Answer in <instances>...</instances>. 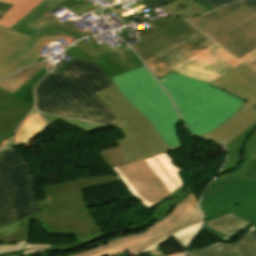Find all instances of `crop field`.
<instances>
[{
  "instance_id": "8a807250",
  "label": "crop field",
  "mask_w": 256,
  "mask_h": 256,
  "mask_svg": "<svg viewBox=\"0 0 256 256\" xmlns=\"http://www.w3.org/2000/svg\"><path fill=\"white\" fill-rule=\"evenodd\" d=\"M111 85L97 64L70 58L60 72L53 70L35 87L36 108L62 117L120 124L94 93Z\"/></svg>"
},
{
  "instance_id": "ac0d7876",
  "label": "crop field",
  "mask_w": 256,
  "mask_h": 256,
  "mask_svg": "<svg viewBox=\"0 0 256 256\" xmlns=\"http://www.w3.org/2000/svg\"><path fill=\"white\" fill-rule=\"evenodd\" d=\"M159 81L172 95L191 133L198 136L225 123L245 103L218 87L177 73Z\"/></svg>"
},
{
  "instance_id": "34b2d1b8",
  "label": "crop field",
  "mask_w": 256,
  "mask_h": 256,
  "mask_svg": "<svg viewBox=\"0 0 256 256\" xmlns=\"http://www.w3.org/2000/svg\"><path fill=\"white\" fill-rule=\"evenodd\" d=\"M140 32L132 45L156 78H161L191 56L215 44L184 18H164Z\"/></svg>"
},
{
  "instance_id": "412701ff",
  "label": "crop field",
  "mask_w": 256,
  "mask_h": 256,
  "mask_svg": "<svg viewBox=\"0 0 256 256\" xmlns=\"http://www.w3.org/2000/svg\"><path fill=\"white\" fill-rule=\"evenodd\" d=\"M168 153L112 168L124 181L134 197L147 207H152L165 198L178 196L157 206L152 219L162 220L188 194L190 188L179 178L180 170Z\"/></svg>"
},
{
  "instance_id": "f4fd0767",
  "label": "crop field",
  "mask_w": 256,
  "mask_h": 256,
  "mask_svg": "<svg viewBox=\"0 0 256 256\" xmlns=\"http://www.w3.org/2000/svg\"><path fill=\"white\" fill-rule=\"evenodd\" d=\"M96 94L120 120L122 124L115 127L121 129L125 137L117 141L119 147L99 152L107 165L113 167L171 151L148 119L124 98L115 84Z\"/></svg>"
},
{
  "instance_id": "dd49c442",
  "label": "crop field",
  "mask_w": 256,
  "mask_h": 256,
  "mask_svg": "<svg viewBox=\"0 0 256 256\" xmlns=\"http://www.w3.org/2000/svg\"><path fill=\"white\" fill-rule=\"evenodd\" d=\"M112 79L126 99L149 119L172 151L183 148L176 130L177 123L182 120L169 97L144 66Z\"/></svg>"
},
{
  "instance_id": "e52e79f7",
  "label": "crop field",
  "mask_w": 256,
  "mask_h": 256,
  "mask_svg": "<svg viewBox=\"0 0 256 256\" xmlns=\"http://www.w3.org/2000/svg\"><path fill=\"white\" fill-rule=\"evenodd\" d=\"M37 205L39 213L0 227V243L28 241L31 219L41 222L47 233L60 236L74 235L98 225L87 208L81 190L42 200Z\"/></svg>"
},
{
  "instance_id": "d8731c3e",
  "label": "crop field",
  "mask_w": 256,
  "mask_h": 256,
  "mask_svg": "<svg viewBox=\"0 0 256 256\" xmlns=\"http://www.w3.org/2000/svg\"><path fill=\"white\" fill-rule=\"evenodd\" d=\"M186 19L238 59L256 48V12L241 1Z\"/></svg>"
},
{
  "instance_id": "5a996713",
  "label": "crop field",
  "mask_w": 256,
  "mask_h": 256,
  "mask_svg": "<svg viewBox=\"0 0 256 256\" xmlns=\"http://www.w3.org/2000/svg\"><path fill=\"white\" fill-rule=\"evenodd\" d=\"M28 162L14 149L0 152V226L38 212Z\"/></svg>"
},
{
  "instance_id": "3316defc",
  "label": "crop field",
  "mask_w": 256,
  "mask_h": 256,
  "mask_svg": "<svg viewBox=\"0 0 256 256\" xmlns=\"http://www.w3.org/2000/svg\"><path fill=\"white\" fill-rule=\"evenodd\" d=\"M200 207L205 220L229 211L256 224V179H216Z\"/></svg>"
},
{
  "instance_id": "28ad6ade",
  "label": "crop field",
  "mask_w": 256,
  "mask_h": 256,
  "mask_svg": "<svg viewBox=\"0 0 256 256\" xmlns=\"http://www.w3.org/2000/svg\"><path fill=\"white\" fill-rule=\"evenodd\" d=\"M61 7L54 0H44L11 28L0 27V64L48 23L77 39L91 35L89 29L81 31L67 20H57L51 12ZM43 21L46 24L34 27L33 24Z\"/></svg>"
},
{
  "instance_id": "d1516ede",
  "label": "crop field",
  "mask_w": 256,
  "mask_h": 256,
  "mask_svg": "<svg viewBox=\"0 0 256 256\" xmlns=\"http://www.w3.org/2000/svg\"><path fill=\"white\" fill-rule=\"evenodd\" d=\"M48 61L13 94L0 88V141L11 138L18 124L34 105L33 88L52 69Z\"/></svg>"
},
{
  "instance_id": "22f410ed",
  "label": "crop field",
  "mask_w": 256,
  "mask_h": 256,
  "mask_svg": "<svg viewBox=\"0 0 256 256\" xmlns=\"http://www.w3.org/2000/svg\"><path fill=\"white\" fill-rule=\"evenodd\" d=\"M240 64L242 63L215 44L191 57L173 72L211 84Z\"/></svg>"
},
{
  "instance_id": "cbeb9de0",
  "label": "crop field",
  "mask_w": 256,
  "mask_h": 256,
  "mask_svg": "<svg viewBox=\"0 0 256 256\" xmlns=\"http://www.w3.org/2000/svg\"><path fill=\"white\" fill-rule=\"evenodd\" d=\"M60 38L71 43L77 40L48 24L0 65V79L20 68L39 62L42 56L38 52L45 45L53 41L57 42Z\"/></svg>"
},
{
  "instance_id": "5142ce71",
  "label": "crop field",
  "mask_w": 256,
  "mask_h": 256,
  "mask_svg": "<svg viewBox=\"0 0 256 256\" xmlns=\"http://www.w3.org/2000/svg\"><path fill=\"white\" fill-rule=\"evenodd\" d=\"M171 234L173 232L157 220L145 232L140 231V233L135 235H125L124 238L111 241L105 245L74 256H112L126 250L136 254Z\"/></svg>"
},
{
  "instance_id": "d9b57169",
  "label": "crop field",
  "mask_w": 256,
  "mask_h": 256,
  "mask_svg": "<svg viewBox=\"0 0 256 256\" xmlns=\"http://www.w3.org/2000/svg\"><path fill=\"white\" fill-rule=\"evenodd\" d=\"M72 46L63 53H65L69 57L96 62L112 84H114V82L110 77L143 66L142 62L131 51L130 48L119 53L113 50L114 48L118 51L123 50L118 45L111 49L109 47L110 45L104 43L98 47L105 53L93 59L81 50H79L77 47Z\"/></svg>"
},
{
  "instance_id": "733c2abd",
  "label": "crop field",
  "mask_w": 256,
  "mask_h": 256,
  "mask_svg": "<svg viewBox=\"0 0 256 256\" xmlns=\"http://www.w3.org/2000/svg\"><path fill=\"white\" fill-rule=\"evenodd\" d=\"M256 109V105L253 106ZM228 161L218 177L235 178L250 163L256 150V123L225 146Z\"/></svg>"
},
{
  "instance_id": "4a817a6b",
  "label": "crop field",
  "mask_w": 256,
  "mask_h": 256,
  "mask_svg": "<svg viewBox=\"0 0 256 256\" xmlns=\"http://www.w3.org/2000/svg\"><path fill=\"white\" fill-rule=\"evenodd\" d=\"M212 85L244 99L251 106L256 104V73L243 64Z\"/></svg>"
},
{
  "instance_id": "bc2a9ffb",
  "label": "crop field",
  "mask_w": 256,
  "mask_h": 256,
  "mask_svg": "<svg viewBox=\"0 0 256 256\" xmlns=\"http://www.w3.org/2000/svg\"><path fill=\"white\" fill-rule=\"evenodd\" d=\"M252 108L245 103L242 109L225 124L202 137L216 140L225 146L256 122V110Z\"/></svg>"
},
{
  "instance_id": "214f88e0",
  "label": "crop field",
  "mask_w": 256,
  "mask_h": 256,
  "mask_svg": "<svg viewBox=\"0 0 256 256\" xmlns=\"http://www.w3.org/2000/svg\"><path fill=\"white\" fill-rule=\"evenodd\" d=\"M185 256H256V242L245 233L232 244L214 243L204 249L188 251Z\"/></svg>"
},
{
  "instance_id": "92a150f3",
  "label": "crop field",
  "mask_w": 256,
  "mask_h": 256,
  "mask_svg": "<svg viewBox=\"0 0 256 256\" xmlns=\"http://www.w3.org/2000/svg\"><path fill=\"white\" fill-rule=\"evenodd\" d=\"M201 220L202 216L200 211L197 209L196 201L192 192L161 222L174 232Z\"/></svg>"
},
{
  "instance_id": "dafd665d",
  "label": "crop field",
  "mask_w": 256,
  "mask_h": 256,
  "mask_svg": "<svg viewBox=\"0 0 256 256\" xmlns=\"http://www.w3.org/2000/svg\"><path fill=\"white\" fill-rule=\"evenodd\" d=\"M249 224L250 223L227 212L206 220L204 222L203 230L215 235L223 241H226L236 236Z\"/></svg>"
},
{
  "instance_id": "00972430",
  "label": "crop field",
  "mask_w": 256,
  "mask_h": 256,
  "mask_svg": "<svg viewBox=\"0 0 256 256\" xmlns=\"http://www.w3.org/2000/svg\"><path fill=\"white\" fill-rule=\"evenodd\" d=\"M117 179L115 176H102V177H93V178H85V179H77L71 182L59 183V184H51L47 186H43L46 197H53L56 195H60L63 193L71 192L78 189H85L100 185H105L109 183L116 182Z\"/></svg>"
},
{
  "instance_id": "a9b5d70f",
  "label": "crop field",
  "mask_w": 256,
  "mask_h": 256,
  "mask_svg": "<svg viewBox=\"0 0 256 256\" xmlns=\"http://www.w3.org/2000/svg\"><path fill=\"white\" fill-rule=\"evenodd\" d=\"M48 125L34 109L19 127L15 135V146L25 144Z\"/></svg>"
},
{
  "instance_id": "4177f3b9",
  "label": "crop field",
  "mask_w": 256,
  "mask_h": 256,
  "mask_svg": "<svg viewBox=\"0 0 256 256\" xmlns=\"http://www.w3.org/2000/svg\"><path fill=\"white\" fill-rule=\"evenodd\" d=\"M0 1L14 4L12 8L8 10L0 18V26L9 28L14 23L19 21L25 14H27L33 7H35L42 0H0Z\"/></svg>"
},
{
  "instance_id": "730fd06b",
  "label": "crop field",
  "mask_w": 256,
  "mask_h": 256,
  "mask_svg": "<svg viewBox=\"0 0 256 256\" xmlns=\"http://www.w3.org/2000/svg\"><path fill=\"white\" fill-rule=\"evenodd\" d=\"M161 9L167 16H193L209 12L192 0H176Z\"/></svg>"
},
{
  "instance_id": "eef30255",
  "label": "crop field",
  "mask_w": 256,
  "mask_h": 256,
  "mask_svg": "<svg viewBox=\"0 0 256 256\" xmlns=\"http://www.w3.org/2000/svg\"><path fill=\"white\" fill-rule=\"evenodd\" d=\"M201 224H202V222H199V223H197V224H195L191 227H188L184 230H181V231L175 233L174 235H172V236H170V237L152 245L151 247L145 249L144 251H142L140 253H143L145 251L150 250L152 256H162L163 253H161L160 250H157V248H160L159 245L161 243L171 239L172 237H174L186 249L188 247V245L191 243V241L194 239V237L197 234ZM140 253H138V254H140Z\"/></svg>"
},
{
  "instance_id": "ae1a2a85",
  "label": "crop field",
  "mask_w": 256,
  "mask_h": 256,
  "mask_svg": "<svg viewBox=\"0 0 256 256\" xmlns=\"http://www.w3.org/2000/svg\"><path fill=\"white\" fill-rule=\"evenodd\" d=\"M45 63L46 62L26 68L18 72L17 74L1 81L0 87L13 93L19 87H21L30 77H32Z\"/></svg>"
},
{
  "instance_id": "d3111659",
  "label": "crop field",
  "mask_w": 256,
  "mask_h": 256,
  "mask_svg": "<svg viewBox=\"0 0 256 256\" xmlns=\"http://www.w3.org/2000/svg\"><path fill=\"white\" fill-rule=\"evenodd\" d=\"M152 221V219H150L149 221L141 224V225H138V226H134V227H130V228H124V229H120V230H116V231H111V232H106V233H103L102 229L100 228V226H96L94 228H91L89 230H86L80 234H77L74 236V238L76 239V243L79 246H81L82 244L86 243V242H89L95 238H100V237H103L105 235H108L110 233H115V232H119L121 230H128V229H136V228H139V227H142L144 225H147L148 222Z\"/></svg>"
},
{
  "instance_id": "750c4746",
  "label": "crop field",
  "mask_w": 256,
  "mask_h": 256,
  "mask_svg": "<svg viewBox=\"0 0 256 256\" xmlns=\"http://www.w3.org/2000/svg\"><path fill=\"white\" fill-rule=\"evenodd\" d=\"M56 1L61 5H63L64 7L68 8L69 11L77 15L83 14L87 11H91L98 7H102L98 3L93 5L89 1H85V0H56Z\"/></svg>"
},
{
  "instance_id": "bd1437ed",
  "label": "crop field",
  "mask_w": 256,
  "mask_h": 256,
  "mask_svg": "<svg viewBox=\"0 0 256 256\" xmlns=\"http://www.w3.org/2000/svg\"><path fill=\"white\" fill-rule=\"evenodd\" d=\"M42 116L44 117V119H46L49 123H53L59 119H62L64 121H66L67 123L73 125L74 127L80 129V130H84L88 133H91L93 131H96L98 129L104 128L106 126H102V125H96L93 123H89V122H85V121H80V120H76V119H63L60 117H56L50 114H44L41 113Z\"/></svg>"
},
{
  "instance_id": "1d83c4d3",
  "label": "crop field",
  "mask_w": 256,
  "mask_h": 256,
  "mask_svg": "<svg viewBox=\"0 0 256 256\" xmlns=\"http://www.w3.org/2000/svg\"><path fill=\"white\" fill-rule=\"evenodd\" d=\"M77 248L75 244L69 245H40V244H27L25 246V254H36V253H46L51 251H68Z\"/></svg>"
},
{
  "instance_id": "120bbe31",
  "label": "crop field",
  "mask_w": 256,
  "mask_h": 256,
  "mask_svg": "<svg viewBox=\"0 0 256 256\" xmlns=\"http://www.w3.org/2000/svg\"><path fill=\"white\" fill-rule=\"evenodd\" d=\"M171 1L174 0H149L145 3H143L146 7L149 8L150 11L155 10ZM204 2L208 3L211 5L213 8H218L220 6H223L227 3L233 2L235 0H203Z\"/></svg>"
},
{
  "instance_id": "d32e631a",
  "label": "crop field",
  "mask_w": 256,
  "mask_h": 256,
  "mask_svg": "<svg viewBox=\"0 0 256 256\" xmlns=\"http://www.w3.org/2000/svg\"><path fill=\"white\" fill-rule=\"evenodd\" d=\"M27 241L23 240L21 242H16L8 245L0 244V256H17L22 255L23 253V245L26 244Z\"/></svg>"
},
{
  "instance_id": "5866460e",
  "label": "crop field",
  "mask_w": 256,
  "mask_h": 256,
  "mask_svg": "<svg viewBox=\"0 0 256 256\" xmlns=\"http://www.w3.org/2000/svg\"><path fill=\"white\" fill-rule=\"evenodd\" d=\"M91 43L89 44H85V42L83 40L76 42L75 46H77L79 49H81L82 51H84L85 53H87L88 55H90L91 57H95L101 53H103L100 49H98L94 44L95 40L94 38H90L89 39Z\"/></svg>"
},
{
  "instance_id": "028f5c9d",
  "label": "crop field",
  "mask_w": 256,
  "mask_h": 256,
  "mask_svg": "<svg viewBox=\"0 0 256 256\" xmlns=\"http://www.w3.org/2000/svg\"><path fill=\"white\" fill-rule=\"evenodd\" d=\"M239 178H256V153L248 165V167L243 171Z\"/></svg>"
},
{
  "instance_id": "e1f06a70",
  "label": "crop field",
  "mask_w": 256,
  "mask_h": 256,
  "mask_svg": "<svg viewBox=\"0 0 256 256\" xmlns=\"http://www.w3.org/2000/svg\"><path fill=\"white\" fill-rule=\"evenodd\" d=\"M239 60L256 72V49Z\"/></svg>"
},
{
  "instance_id": "0bd39190",
  "label": "crop field",
  "mask_w": 256,
  "mask_h": 256,
  "mask_svg": "<svg viewBox=\"0 0 256 256\" xmlns=\"http://www.w3.org/2000/svg\"><path fill=\"white\" fill-rule=\"evenodd\" d=\"M242 1L256 11V0H242Z\"/></svg>"
},
{
  "instance_id": "b80d0937",
  "label": "crop field",
  "mask_w": 256,
  "mask_h": 256,
  "mask_svg": "<svg viewBox=\"0 0 256 256\" xmlns=\"http://www.w3.org/2000/svg\"><path fill=\"white\" fill-rule=\"evenodd\" d=\"M11 6V4L0 2V11L6 12Z\"/></svg>"
},
{
  "instance_id": "c035e120",
  "label": "crop field",
  "mask_w": 256,
  "mask_h": 256,
  "mask_svg": "<svg viewBox=\"0 0 256 256\" xmlns=\"http://www.w3.org/2000/svg\"><path fill=\"white\" fill-rule=\"evenodd\" d=\"M247 233H248V235H249L252 239H254V240L256 241V232H255L252 228H250V229L247 231Z\"/></svg>"
},
{
  "instance_id": "c21b1889",
  "label": "crop field",
  "mask_w": 256,
  "mask_h": 256,
  "mask_svg": "<svg viewBox=\"0 0 256 256\" xmlns=\"http://www.w3.org/2000/svg\"><path fill=\"white\" fill-rule=\"evenodd\" d=\"M183 253H177V254H173V255H169V256H182Z\"/></svg>"
},
{
  "instance_id": "03da06ac",
  "label": "crop field",
  "mask_w": 256,
  "mask_h": 256,
  "mask_svg": "<svg viewBox=\"0 0 256 256\" xmlns=\"http://www.w3.org/2000/svg\"><path fill=\"white\" fill-rule=\"evenodd\" d=\"M7 141V140H6ZM6 141L0 142V149L2 148V146L6 143Z\"/></svg>"
},
{
  "instance_id": "b54c1fbb",
  "label": "crop field",
  "mask_w": 256,
  "mask_h": 256,
  "mask_svg": "<svg viewBox=\"0 0 256 256\" xmlns=\"http://www.w3.org/2000/svg\"><path fill=\"white\" fill-rule=\"evenodd\" d=\"M256 231V225L252 227Z\"/></svg>"
},
{
  "instance_id": "5d738f31",
  "label": "crop field",
  "mask_w": 256,
  "mask_h": 256,
  "mask_svg": "<svg viewBox=\"0 0 256 256\" xmlns=\"http://www.w3.org/2000/svg\"><path fill=\"white\" fill-rule=\"evenodd\" d=\"M3 14H4L3 12H0V17H1Z\"/></svg>"
}]
</instances>
